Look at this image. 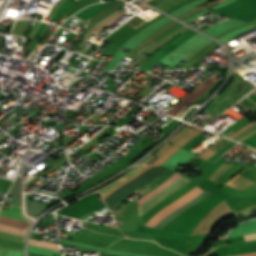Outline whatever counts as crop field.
Returning <instances> with one entry per match:
<instances>
[{"label": "crop field", "instance_id": "crop-field-1", "mask_svg": "<svg viewBox=\"0 0 256 256\" xmlns=\"http://www.w3.org/2000/svg\"><path fill=\"white\" fill-rule=\"evenodd\" d=\"M180 177H182V176L175 173L167 181H165L162 185H160L157 189H155L152 193H150V194L146 195L145 197L137 200L138 203H139V206L141 204H143L145 201H147L148 199H150L151 197H153L154 195H156L157 193H159L161 190H163L164 188H166L167 186H169L170 184L175 182ZM188 182L189 181L186 180L185 178H183V177L180 178L175 183H173L172 185H170L169 187H167L166 189L161 191L159 194H157L156 196H154L153 198H151L150 200L145 202L140 207H138V214L140 216L143 215L145 212H147L148 210L153 208L155 205L160 203L162 200H164L165 198L170 196L172 193L177 191L179 188H181L182 186H184Z\"/></svg>", "mask_w": 256, "mask_h": 256}, {"label": "crop field", "instance_id": "crop-field-2", "mask_svg": "<svg viewBox=\"0 0 256 256\" xmlns=\"http://www.w3.org/2000/svg\"><path fill=\"white\" fill-rule=\"evenodd\" d=\"M202 190L195 187L191 191L184 194L182 197H180L178 200H176L174 203L170 204L169 206L165 207L163 210H161L157 215H155L151 220H149L145 226L147 227H154L160 220L165 218L167 215H169L171 212L177 210L199 194H201Z\"/></svg>", "mask_w": 256, "mask_h": 256}, {"label": "crop field", "instance_id": "crop-field-3", "mask_svg": "<svg viewBox=\"0 0 256 256\" xmlns=\"http://www.w3.org/2000/svg\"><path fill=\"white\" fill-rule=\"evenodd\" d=\"M146 165H144L143 163L132 168L127 174L123 175L122 177L118 178L117 180L103 186L102 188L98 189L97 192L103 196L108 190H110L111 188H113L114 186H116L117 184L127 180L128 178H130L134 173H136L137 171H139L140 169H142L143 167H145Z\"/></svg>", "mask_w": 256, "mask_h": 256}, {"label": "crop field", "instance_id": "crop-field-4", "mask_svg": "<svg viewBox=\"0 0 256 256\" xmlns=\"http://www.w3.org/2000/svg\"><path fill=\"white\" fill-rule=\"evenodd\" d=\"M0 215L24 221V218L21 216V208L12 204L10 205L8 211L1 209Z\"/></svg>", "mask_w": 256, "mask_h": 256}, {"label": "crop field", "instance_id": "crop-field-5", "mask_svg": "<svg viewBox=\"0 0 256 256\" xmlns=\"http://www.w3.org/2000/svg\"><path fill=\"white\" fill-rule=\"evenodd\" d=\"M251 28H255V26L249 25V26H245V27L239 28V29H237V30H235L233 32H230V33L224 35L222 38H220L218 40L226 43V42L230 41L233 37H235V36L245 32V31H247V30H249Z\"/></svg>", "mask_w": 256, "mask_h": 256}, {"label": "crop field", "instance_id": "crop-field-6", "mask_svg": "<svg viewBox=\"0 0 256 256\" xmlns=\"http://www.w3.org/2000/svg\"><path fill=\"white\" fill-rule=\"evenodd\" d=\"M119 12L115 11L114 13L110 14L109 16H107L105 19H103L102 21H100L99 23H97L96 25H94L87 33L86 37L84 38V40L81 42L80 46L83 47L85 42L87 41V39L89 38V36L92 34V32L102 23L106 22L107 20L113 18L114 16H116Z\"/></svg>", "mask_w": 256, "mask_h": 256}, {"label": "crop field", "instance_id": "crop-field-7", "mask_svg": "<svg viewBox=\"0 0 256 256\" xmlns=\"http://www.w3.org/2000/svg\"><path fill=\"white\" fill-rule=\"evenodd\" d=\"M0 223L16 226L20 228H24L28 226V223H24V222L12 220V219L4 218V217H0Z\"/></svg>", "mask_w": 256, "mask_h": 256}, {"label": "crop field", "instance_id": "crop-field-8", "mask_svg": "<svg viewBox=\"0 0 256 256\" xmlns=\"http://www.w3.org/2000/svg\"><path fill=\"white\" fill-rule=\"evenodd\" d=\"M0 230L10 232V233H14V234H18V235H22V236H25L26 233H27V231H24V230H21V229H18V228H14V227H11V226L3 225V224H0Z\"/></svg>", "mask_w": 256, "mask_h": 256}, {"label": "crop field", "instance_id": "crop-field-9", "mask_svg": "<svg viewBox=\"0 0 256 256\" xmlns=\"http://www.w3.org/2000/svg\"><path fill=\"white\" fill-rule=\"evenodd\" d=\"M0 237L10 239V240H14V241H18V242H22V243H23V240H24V237H22V236L9 234V233H5V232H1V231H0Z\"/></svg>", "mask_w": 256, "mask_h": 256}, {"label": "crop field", "instance_id": "crop-field-10", "mask_svg": "<svg viewBox=\"0 0 256 256\" xmlns=\"http://www.w3.org/2000/svg\"><path fill=\"white\" fill-rule=\"evenodd\" d=\"M29 241L58 247L57 244H54V243L38 241V240L30 239V238H29ZM31 242H29L28 244L42 246V247H46V248H50V249L60 251L59 248H56V247H51V246H46V245H41V244H36V243H31Z\"/></svg>", "mask_w": 256, "mask_h": 256}, {"label": "crop field", "instance_id": "crop-field-11", "mask_svg": "<svg viewBox=\"0 0 256 256\" xmlns=\"http://www.w3.org/2000/svg\"><path fill=\"white\" fill-rule=\"evenodd\" d=\"M251 124H252V123H251ZM251 124H249V125H251ZM249 125H247L246 127H248ZM254 125H256V124L254 123V124H252L251 126H249L248 128H246V127L242 128L241 130H239V131L236 132L235 134L231 135L229 138L233 137L234 135H236L237 133H239L240 131H242L243 129L246 128L245 130H243L242 132H240L239 134H237L236 136H234L232 139L238 137L239 135H241L242 133L246 132L247 130H249V129H250L251 127H253Z\"/></svg>", "mask_w": 256, "mask_h": 256}, {"label": "crop field", "instance_id": "crop-field-12", "mask_svg": "<svg viewBox=\"0 0 256 256\" xmlns=\"http://www.w3.org/2000/svg\"><path fill=\"white\" fill-rule=\"evenodd\" d=\"M213 42L211 39L209 41H207L205 44H203L202 46H200L199 48H197L195 51H193L191 54H189L187 57L191 58L196 52H198L199 50H201L203 47H205L207 44Z\"/></svg>", "mask_w": 256, "mask_h": 256}, {"label": "crop field", "instance_id": "crop-field-13", "mask_svg": "<svg viewBox=\"0 0 256 256\" xmlns=\"http://www.w3.org/2000/svg\"><path fill=\"white\" fill-rule=\"evenodd\" d=\"M245 25H248V23L242 24V25H239V26H236V27H234V28H231V29H229V30H227V31H225V32H223V33H221V34L215 36V37L218 39V38L222 37L224 34L230 32V31H232V30H234V29H236V28H239V27H241V26H245Z\"/></svg>", "mask_w": 256, "mask_h": 256}, {"label": "crop field", "instance_id": "crop-field-14", "mask_svg": "<svg viewBox=\"0 0 256 256\" xmlns=\"http://www.w3.org/2000/svg\"><path fill=\"white\" fill-rule=\"evenodd\" d=\"M245 236V239L246 240H249V239H256V233L254 234H249V235H244Z\"/></svg>", "mask_w": 256, "mask_h": 256}, {"label": "crop field", "instance_id": "crop-field-15", "mask_svg": "<svg viewBox=\"0 0 256 256\" xmlns=\"http://www.w3.org/2000/svg\"><path fill=\"white\" fill-rule=\"evenodd\" d=\"M45 28H46V27H45ZM44 30H45V29H44ZM44 30H43V31H44ZM43 31H42V33H43ZM42 33H41V34H42ZM41 34H40V36H41Z\"/></svg>", "mask_w": 256, "mask_h": 256}, {"label": "crop field", "instance_id": "crop-field-16", "mask_svg": "<svg viewBox=\"0 0 256 256\" xmlns=\"http://www.w3.org/2000/svg\"><path fill=\"white\" fill-rule=\"evenodd\" d=\"M254 148H256V147H254Z\"/></svg>", "mask_w": 256, "mask_h": 256}]
</instances>
